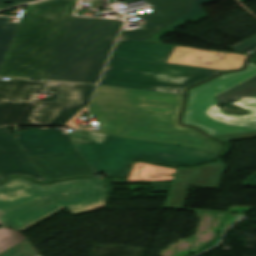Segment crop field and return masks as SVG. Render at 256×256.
<instances>
[{"mask_svg": "<svg viewBox=\"0 0 256 256\" xmlns=\"http://www.w3.org/2000/svg\"><path fill=\"white\" fill-rule=\"evenodd\" d=\"M16 139L47 179L70 176L124 175L132 158H145L180 166L211 160L214 154L176 145L116 137L88 130H22ZM19 130H22L19 133Z\"/></svg>", "mask_w": 256, "mask_h": 256, "instance_id": "crop-field-1", "label": "crop field"}, {"mask_svg": "<svg viewBox=\"0 0 256 256\" xmlns=\"http://www.w3.org/2000/svg\"><path fill=\"white\" fill-rule=\"evenodd\" d=\"M182 95L99 85L89 107L99 131L135 139L182 145L216 154L220 145L177 123Z\"/></svg>", "mask_w": 256, "mask_h": 256, "instance_id": "crop-field-2", "label": "crop field"}, {"mask_svg": "<svg viewBox=\"0 0 256 256\" xmlns=\"http://www.w3.org/2000/svg\"><path fill=\"white\" fill-rule=\"evenodd\" d=\"M68 209L74 215L107 207L105 179L36 185L15 178L0 186V225L25 230Z\"/></svg>", "mask_w": 256, "mask_h": 256, "instance_id": "crop-field-3", "label": "crop field"}, {"mask_svg": "<svg viewBox=\"0 0 256 256\" xmlns=\"http://www.w3.org/2000/svg\"><path fill=\"white\" fill-rule=\"evenodd\" d=\"M78 0H46L28 6L0 76L46 79Z\"/></svg>", "mask_w": 256, "mask_h": 256, "instance_id": "crop-field-4", "label": "crop field"}, {"mask_svg": "<svg viewBox=\"0 0 256 256\" xmlns=\"http://www.w3.org/2000/svg\"><path fill=\"white\" fill-rule=\"evenodd\" d=\"M47 83L0 80V125H64L88 103L95 88L89 84L50 82L45 92L54 93V101L37 100L34 96L44 91Z\"/></svg>", "mask_w": 256, "mask_h": 256, "instance_id": "crop-field-5", "label": "crop field"}, {"mask_svg": "<svg viewBox=\"0 0 256 256\" xmlns=\"http://www.w3.org/2000/svg\"><path fill=\"white\" fill-rule=\"evenodd\" d=\"M250 114L223 113L216 104L232 99ZM184 123L193 124L210 135L256 129V65L249 63L243 72L223 75L190 90Z\"/></svg>", "mask_w": 256, "mask_h": 256, "instance_id": "crop-field-6", "label": "crop field"}, {"mask_svg": "<svg viewBox=\"0 0 256 256\" xmlns=\"http://www.w3.org/2000/svg\"><path fill=\"white\" fill-rule=\"evenodd\" d=\"M121 23L73 16L47 79L97 83Z\"/></svg>", "mask_w": 256, "mask_h": 256, "instance_id": "crop-field-7", "label": "crop field"}, {"mask_svg": "<svg viewBox=\"0 0 256 256\" xmlns=\"http://www.w3.org/2000/svg\"><path fill=\"white\" fill-rule=\"evenodd\" d=\"M218 72L221 70L112 57L100 84L182 94L184 88Z\"/></svg>", "mask_w": 256, "mask_h": 256, "instance_id": "crop-field-8", "label": "crop field"}, {"mask_svg": "<svg viewBox=\"0 0 256 256\" xmlns=\"http://www.w3.org/2000/svg\"><path fill=\"white\" fill-rule=\"evenodd\" d=\"M143 0H121L131 3ZM150 3L153 12L139 15L145 23L155 26L175 29L190 20L195 22L206 17L200 4L213 0H146Z\"/></svg>", "mask_w": 256, "mask_h": 256, "instance_id": "crop-field-9", "label": "crop field"}, {"mask_svg": "<svg viewBox=\"0 0 256 256\" xmlns=\"http://www.w3.org/2000/svg\"><path fill=\"white\" fill-rule=\"evenodd\" d=\"M226 166L213 163L177 171L164 207L183 208L189 186L217 188Z\"/></svg>", "mask_w": 256, "mask_h": 256, "instance_id": "crop-field-10", "label": "crop field"}, {"mask_svg": "<svg viewBox=\"0 0 256 256\" xmlns=\"http://www.w3.org/2000/svg\"><path fill=\"white\" fill-rule=\"evenodd\" d=\"M158 30L159 27L144 24L140 29L122 31L112 56L166 62L174 46L135 41Z\"/></svg>", "mask_w": 256, "mask_h": 256, "instance_id": "crop-field-11", "label": "crop field"}, {"mask_svg": "<svg viewBox=\"0 0 256 256\" xmlns=\"http://www.w3.org/2000/svg\"><path fill=\"white\" fill-rule=\"evenodd\" d=\"M12 174H23L45 182L6 128H0V179Z\"/></svg>", "mask_w": 256, "mask_h": 256, "instance_id": "crop-field-12", "label": "crop field"}, {"mask_svg": "<svg viewBox=\"0 0 256 256\" xmlns=\"http://www.w3.org/2000/svg\"><path fill=\"white\" fill-rule=\"evenodd\" d=\"M246 58L240 54L176 47L167 62L228 70L240 68Z\"/></svg>", "mask_w": 256, "mask_h": 256, "instance_id": "crop-field-13", "label": "crop field"}, {"mask_svg": "<svg viewBox=\"0 0 256 256\" xmlns=\"http://www.w3.org/2000/svg\"><path fill=\"white\" fill-rule=\"evenodd\" d=\"M175 171L173 168L136 161L128 179L113 181H172Z\"/></svg>", "mask_w": 256, "mask_h": 256, "instance_id": "crop-field-14", "label": "crop field"}, {"mask_svg": "<svg viewBox=\"0 0 256 256\" xmlns=\"http://www.w3.org/2000/svg\"><path fill=\"white\" fill-rule=\"evenodd\" d=\"M13 18L0 17V67L19 24L11 23Z\"/></svg>", "mask_w": 256, "mask_h": 256, "instance_id": "crop-field-15", "label": "crop field"}, {"mask_svg": "<svg viewBox=\"0 0 256 256\" xmlns=\"http://www.w3.org/2000/svg\"><path fill=\"white\" fill-rule=\"evenodd\" d=\"M24 239V236L17 231L0 228V252Z\"/></svg>", "mask_w": 256, "mask_h": 256, "instance_id": "crop-field-16", "label": "crop field"}, {"mask_svg": "<svg viewBox=\"0 0 256 256\" xmlns=\"http://www.w3.org/2000/svg\"><path fill=\"white\" fill-rule=\"evenodd\" d=\"M36 253L38 254L37 256H41L30 242L24 241L0 256H32Z\"/></svg>", "mask_w": 256, "mask_h": 256, "instance_id": "crop-field-17", "label": "crop field"}, {"mask_svg": "<svg viewBox=\"0 0 256 256\" xmlns=\"http://www.w3.org/2000/svg\"><path fill=\"white\" fill-rule=\"evenodd\" d=\"M229 49H233L239 52H243L247 55L251 54L253 51L256 50V35L229 48Z\"/></svg>", "mask_w": 256, "mask_h": 256, "instance_id": "crop-field-18", "label": "crop field"}, {"mask_svg": "<svg viewBox=\"0 0 256 256\" xmlns=\"http://www.w3.org/2000/svg\"><path fill=\"white\" fill-rule=\"evenodd\" d=\"M221 141H231V140H240V139H248V138H256V131L222 135L215 137Z\"/></svg>", "mask_w": 256, "mask_h": 256, "instance_id": "crop-field-19", "label": "crop field"}, {"mask_svg": "<svg viewBox=\"0 0 256 256\" xmlns=\"http://www.w3.org/2000/svg\"><path fill=\"white\" fill-rule=\"evenodd\" d=\"M86 109L87 108H83L77 115H79L80 113H83V112H85L86 111ZM75 117H76V115L67 123V124H65V125H67V126H71V127H74V126H76L74 123H73V121H74V119H75Z\"/></svg>", "mask_w": 256, "mask_h": 256, "instance_id": "crop-field-20", "label": "crop field"}, {"mask_svg": "<svg viewBox=\"0 0 256 256\" xmlns=\"http://www.w3.org/2000/svg\"><path fill=\"white\" fill-rule=\"evenodd\" d=\"M140 41H147V42H155L158 43L157 38H155L154 36L150 35L147 38L140 40Z\"/></svg>", "mask_w": 256, "mask_h": 256, "instance_id": "crop-field-21", "label": "crop field"}, {"mask_svg": "<svg viewBox=\"0 0 256 256\" xmlns=\"http://www.w3.org/2000/svg\"><path fill=\"white\" fill-rule=\"evenodd\" d=\"M20 1H31V0H0V3L20 2Z\"/></svg>", "mask_w": 256, "mask_h": 256, "instance_id": "crop-field-22", "label": "crop field"}, {"mask_svg": "<svg viewBox=\"0 0 256 256\" xmlns=\"http://www.w3.org/2000/svg\"><path fill=\"white\" fill-rule=\"evenodd\" d=\"M240 2H243V1H249V0H239Z\"/></svg>", "mask_w": 256, "mask_h": 256, "instance_id": "crop-field-23", "label": "crop field"}, {"mask_svg": "<svg viewBox=\"0 0 256 256\" xmlns=\"http://www.w3.org/2000/svg\"><path fill=\"white\" fill-rule=\"evenodd\" d=\"M84 129H90V128H84Z\"/></svg>", "mask_w": 256, "mask_h": 256, "instance_id": "crop-field-24", "label": "crop field"}]
</instances>
